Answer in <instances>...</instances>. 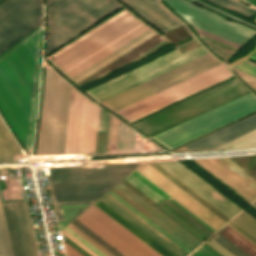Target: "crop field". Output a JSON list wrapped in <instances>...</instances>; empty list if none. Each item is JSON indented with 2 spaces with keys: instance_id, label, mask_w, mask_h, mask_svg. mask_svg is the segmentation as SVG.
Wrapping results in <instances>:
<instances>
[{
  "instance_id": "obj_1",
  "label": "crop field",
  "mask_w": 256,
  "mask_h": 256,
  "mask_svg": "<svg viewBox=\"0 0 256 256\" xmlns=\"http://www.w3.org/2000/svg\"><path fill=\"white\" fill-rule=\"evenodd\" d=\"M124 9L127 10L126 8ZM125 10H121L122 12H118L119 14L116 13L117 15H113L114 17H110L111 19L108 18V21L105 20V23L102 22L103 24H99L100 26L97 25V28L94 27V30L91 29L92 31H88L89 33H85L86 35L83 34L84 36H80L81 38H77L78 40L74 41L73 43H69L70 45L66 46L63 50L52 56L50 59L60 70L68 75L110 47L114 46L124 38L128 37L138 29L145 26V22L127 10L129 13L144 23L142 24ZM147 26L150 27L149 25ZM148 27L145 26L138 30L128 38L124 39L114 47L110 48L68 76L71 77L79 85H81L89 80H92L100 75H103L137 59L141 55L145 54L166 40V42L141 56L137 60L172 43L165 35L162 37L166 40L160 37V34V36L157 35L155 30L154 31L156 33L153 32L151 27L150 28L152 30H150Z\"/></svg>"
},
{
  "instance_id": "obj_2",
  "label": "crop field",
  "mask_w": 256,
  "mask_h": 256,
  "mask_svg": "<svg viewBox=\"0 0 256 256\" xmlns=\"http://www.w3.org/2000/svg\"><path fill=\"white\" fill-rule=\"evenodd\" d=\"M43 24L0 57V109L31 152Z\"/></svg>"
},
{
  "instance_id": "obj_3",
  "label": "crop field",
  "mask_w": 256,
  "mask_h": 256,
  "mask_svg": "<svg viewBox=\"0 0 256 256\" xmlns=\"http://www.w3.org/2000/svg\"><path fill=\"white\" fill-rule=\"evenodd\" d=\"M140 164L105 165L92 169L48 168L59 229H63Z\"/></svg>"
},
{
  "instance_id": "obj_4",
  "label": "crop field",
  "mask_w": 256,
  "mask_h": 256,
  "mask_svg": "<svg viewBox=\"0 0 256 256\" xmlns=\"http://www.w3.org/2000/svg\"><path fill=\"white\" fill-rule=\"evenodd\" d=\"M121 6L116 0H47L46 54Z\"/></svg>"
},
{
  "instance_id": "obj_5",
  "label": "crop field",
  "mask_w": 256,
  "mask_h": 256,
  "mask_svg": "<svg viewBox=\"0 0 256 256\" xmlns=\"http://www.w3.org/2000/svg\"><path fill=\"white\" fill-rule=\"evenodd\" d=\"M70 90L71 84L46 65L36 156L64 155Z\"/></svg>"
},
{
  "instance_id": "obj_6",
  "label": "crop field",
  "mask_w": 256,
  "mask_h": 256,
  "mask_svg": "<svg viewBox=\"0 0 256 256\" xmlns=\"http://www.w3.org/2000/svg\"><path fill=\"white\" fill-rule=\"evenodd\" d=\"M255 111L256 97L249 93L152 138L171 150Z\"/></svg>"
},
{
  "instance_id": "obj_7",
  "label": "crop field",
  "mask_w": 256,
  "mask_h": 256,
  "mask_svg": "<svg viewBox=\"0 0 256 256\" xmlns=\"http://www.w3.org/2000/svg\"><path fill=\"white\" fill-rule=\"evenodd\" d=\"M246 92L248 90L234 78L134 125L150 136Z\"/></svg>"
},
{
  "instance_id": "obj_8",
  "label": "crop field",
  "mask_w": 256,
  "mask_h": 256,
  "mask_svg": "<svg viewBox=\"0 0 256 256\" xmlns=\"http://www.w3.org/2000/svg\"><path fill=\"white\" fill-rule=\"evenodd\" d=\"M234 76L223 64L116 112L132 123Z\"/></svg>"
},
{
  "instance_id": "obj_9",
  "label": "crop field",
  "mask_w": 256,
  "mask_h": 256,
  "mask_svg": "<svg viewBox=\"0 0 256 256\" xmlns=\"http://www.w3.org/2000/svg\"><path fill=\"white\" fill-rule=\"evenodd\" d=\"M206 53H208V51L202 46L183 54H181L176 48L143 66L102 83L85 92L96 101L100 102Z\"/></svg>"
},
{
  "instance_id": "obj_10",
  "label": "crop field",
  "mask_w": 256,
  "mask_h": 256,
  "mask_svg": "<svg viewBox=\"0 0 256 256\" xmlns=\"http://www.w3.org/2000/svg\"><path fill=\"white\" fill-rule=\"evenodd\" d=\"M219 64H221V62L208 53L100 103L116 112Z\"/></svg>"
},
{
  "instance_id": "obj_11",
  "label": "crop field",
  "mask_w": 256,
  "mask_h": 256,
  "mask_svg": "<svg viewBox=\"0 0 256 256\" xmlns=\"http://www.w3.org/2000/svg\"><path fill=\"white\" fill-rule=\"evenodd\" d=\"M175 11H177L191 26L230 41L243 45L247 42L256 31L251 30L239 23L230 22L222 19L220 16L188 3L184 0H165ZM195 29V31L205 37L227 44L229 46L239 48L241 45Z\"/></svg>"
},
{
  "instance_id": "obj_12",
  "label": "crop field",
  "mask_w": 256,
  "mask_h": 256,
  "mask_svg": "<svg viewBox=\"0 0 256 256\" xmlns=\"http://www.w3.org/2000/svg\"><path fill=\"white\" fill-rule=\"evenodd\" d=\"M99 106L72 87L65 154L95 151Z\"/></svg>"
},
{
  "instance_id": "obj_13",
  "label": "crop field",
  "mask_w": 256,
  "mask_h": 256,
  "mask_svg": "<svg viewBox=\"0 0 256 256\" xmlns=\"http://www.w3.org/2000/svg\"><path fill=\"white\" fill-rule=\"evenodd\" d=\"M43 0H6L0 5V55L42 24Z\"/></svg>"
},
{
  "instance_id": "obj_14",
  "label": "crop field",
  "mask_w": 256,
  "mask_h": 256,
  "mask_svg": "<svg viewBox=\"0 0 256 256\" xmlns=\"http://www.w3.org/2000/svg\"><path fill=\"white\" fill-rule=\"evenodd\" d=\"M77 219L125 256H161L94 205Z\"/></svg>"
},
{
  "instance_id": "obj_15",
  "label": "crop field",
  "mask_w": 256,
  "mask_h": 256,
  "mask_svg": "<svg viewBox=\"0 0 256 256\" xmlns=\"http://www.w3.org/2000/svg\"><path fill=\"white\" fill-rule=\"evenodd\" d=\"M3 208L14 256H38L26 201Z\"/></svg>"
},
{
  "instance_id": "obj_16",
  "label": "crop field",
  "mask_w": 256,
  "mask_h": 256,
  "mask_svg": "<svg viewBox=\"0 0 256 256\" xmlns=\"http://www.w3.org/2000/svg\"><path fill=\"white\" fill-rule=\"evenodd\" d=\"M193 160L247 201L256 198V179L225 156Z\"/></svg>"
},
{
  "instance_id": "obj_17",
  "label": "crop field",
  "mask_w": 256,
  "mask_h": 256,
  "mask_svg": "<svg viewBox=\"0 0 256 256\" xmlns=\"http://www.w3.org/2000/svg\"><path fill=\"white\" fill-rule=\"evenodd\" d=\"M158 164L230 219L242 210L179 161Z\"/></svg>"
},
{
  "instance_id": "obj_18",
  "label": "crop field",
  "mask_w": 256,
  "mask_h": 256,
  "mask_svg": "<svg viewBox=\"0 0 256 256\" xmlns=\"http://www.w3.org/2000/svg\"><path fill=\"white\" fill-rule=\"evenodd\" d=\"M125 180H127L137 189L142 191L156 203L162 205L164 208H166L168 211H170L172 214H174L176 217H178L180 220H182L184 223H186L188 226H190L204 238L207 239L214 232H216L136 171L132 172ZM211 231L213 232L212 234L210 233Z\"/></svg>"
},
{
  "instance_id": "obj_19",
  "label": "crop field",
  "mask_w": 256,
  "mask_h": 256,
  "mask_svg": "<svg viewBox=\"0 0 256 256\" xmlns=\"http://www.w3.org/2000/svg\"><path fill=\"white\" fill-rule=\"evenodd\" d=\"M136 171L216 231L224 224V222H222L220 219H218L216 216L206 210L203 206H201L199 203L189 197L186 193H184L182 190H180L178 187H176L174 184H172L170 181H168L165 177H163L146 163L140 166Z\"/></svg>"
},
{
  "instance_id": "obj_20",
  "label": "crop field",
  "mask_w": 256,
  "mask_h": 256,
  "mask_svg": "<svg viewBox=\"0 0 256 256\" xmlns=\"http://www.w3.org/2000/svg\"><path fill=\"white\" fill-rule=\"evenodd\" d=\"M256 129V114L185 145L187 149L219 148Z\"/></svg>"
},
{
  "instance_id": "obj_21",
  "label": "crop field",
  "mask_w": 256,
  "mask_h": 256,
  "mask_svg": "<svg viewBox=\"0 0 256 256\" xmlns=\"http://www.w3.org/2000/svg\"><path fill=\"white\" fill-rule=\"evenodd\" d=\"M162 31L166 32L182 23L166 10L159 0H122Z\"/></svg>"
},
{
  "instance_id": "obj_22",
  "label": "crop field",
  "mask_w": 256,
  "mask_h": 256,
  "mask_svg": "<svg viewBox=\"0 0 256 256\" xmlns=\"http://www.w3.org/2000/svg\"><path fill=\"white\" fill-rule=\"evenodd\" d=\"M100 200H102L104 203H106L116 212L121 214L123 217H125L127 220H129L131 223H133L135 226H137L139 229H141L151 238H153L156 242H158L160 245L166 248L173 255L186 256L185 254H183L181 251H179L177 248H175L173 245H171L169 242H167L165 239H163L161 236H159L157 233H155L153 230H151L149 227H147L145 224H143L141 221H139L137 218H135L133 215H131L129 212H127L125 209H123L121 206H119L117 203H115L106 195Z\"/></svg>"
},
{
  "instance_id": "obj_23",
  "label": "crop field",
  "mask_w": 256,
  "mask_h": 256,
  "mask_svg": "<svg viewBox=\"0 0 256 256\" xmlns=\"http://www.w3.org/2000/svg\"><path fill=\"white\" fill-rule=\"evenodd\" d=\"M94 205L101 209L103 212H105L107 215H109L111 218H113L115 221H117L119 224H121L123 227H125L127 230H129L131 233H133L135 236H137L139 239H141L143 242H145L147 245H149L151 248H153L155 251H157L159 254H161L162 256H173L166 249H164L153 239H151L149 236H147L145 233H143L141 230H139L125 218L120 216L118 213H116L102 201L99 200Z\"/></svg>"
},
{
  "instance_id": "obj_24",
  "label": "crop field",
  "mask_w": 256,
  "mask_h": 256,
  "mask_svg": "<svg viewBox=\"0 0 256 256\" xmlns=\"http://www.w3.org/2000/svg\"><path fill=\"white\" fill-rule=\"evenodd\" d=\"M13 155H23L0 119V161H14Z\"/></svg>"
},
{
  "instance_id": "obj_25",
  "label": "crop field",
  "mask_w": 256,
  "mask_h": 256,
  "mask_svg": "<svg viewBox=\"0 0 256 256\" xmlns=\"http://www.w3.org/2000/svg\"><path fill=\"white\" fill-rule=\"evenodd\" d=\"M147 164H149L151 167H153L155 170H157L159 173H161L163 176H165L167 179H169L171 182H173L175 185H177L179 188H181L183 191H185L187 194H189L191 197H193L195 200H197L219 218H221L223 221L227 222L230 220L213 206H211L209 203H207L205 200H203L201 197H199L197 194H195L193 191H191L189 188H187L185 185H183L181 182H179L177 179H175L173 176H171L169 173H167L165 170H163L161 167H159L157 164H155L154 162H150Z\"/></svg>"
},
{
  "instance_id": "obj_26",
  "label": "crop field",
  "mask_w": 256,
  "mask_h": 256,
  "mask_svg": "<svg viewBox=\"0 0 256 256\" xmlns=\"http://www.w3.org/2000/svg\"><path fill=\"white\" fill-rule=\"evenodd\" d=\"M224 227L225 228H222L218 232L225 236L227 239H229L231 242H233L236 246H238L248 255L256 256L255 245H253L250 241H248L246 238H244L242 235H240L227 224Z\"/></svg>"
},
{
  "instance_id": "obj_27",
  "label": "crop field",
  "mask_w": 256,
  "mask_h": 256,
  "mask_svg": "<svg viewBox=\"0 0 256 256\" xmlns=\"http://www.w3.org/2000/svg\"><path fill=\"white\" fill-rule=\"evenodd\" d=\"M0 256H13L0 199Z\"/></svg>"
},
{
  "instance_id": "obj_28",
  "label": "crop field",
  "mask_w": 256,
  "mask_h": 256,
  "mask_svg": "<svg viewBox=\"0 0 256 256\" xmlns=\"http://www.w3.org/2000/svg\"><path fill=\"white\" fill-rule=\"evenodd\" d=\"M108 194H110L112 197H114L116 200H118L120 203H122L124 206H126L128 209H130L132 212H134L136 215H138L140 218H142L144 221H146L148 224H150L152 227H154L156 230H158L160 233H162L164 236H166L168 239H170L180 248H182L184 251H186L187 253L191 251L187 247H185L183 244H181L179 241H177L175 238H173L171 235H169L167 232H165L156 224H154L152 221H150L148 218H146L144 215H142L140 212H138L129 204H127L125 201H123L121 198H119L117 195H115L113 192L110 191Z\"/></svg>"
},
{
  "instance_id": "obj_29",
  "label": "crop field",
  "mask_w": 256,
  "mask_h": 256,
  "mask_svg": "<svg viewBox=\"0 0 256 256\" xmlns=\"http://www.w3.org/2000/svg\"><path fill=\"white\" fill-rule=\"evenodd\" d=\"M72 224L79 228L81 231H83L85 234H87L89 237H91L93 240H95L97 243H99L101 246H103L105 249H107L109 252H111L113 255L124 256L122 253L112 247L109 243H107L105 240H103L101 237H99L77 219Z\"/></svg>"
},
{
  "instance_id": "obj_30",
  "label": "crop field",
  "mask_w": 256,
  "mask_h": 256,
  "mask_svg": "<svg viewBox=\"0 0 256 256\" xmlns=\"http://www.w3.org/2000/svg\"><path fill=\"white\" fill-rule=\"evenodd\" d=\"M208 1L215 3L221 7L232 9L247 18L253 15L254 13H256V10L248 9L242 6L241 4H239L235 0H208Z\"/></svg>"
},
{
  "instance_id": "obj_31",
  "label": "crop field",
  "mask_w": 256,
  "mask_h": 256,
  "mask_svg": "<svg viewBox=\"0 0 256 256\" xmlns=\"http://www.w3.org/2000/svg\"><path fill=\"white\" fill-rule=\"evenodd\" d=\"M232 220H234L236 223H238L240 226H242L256 237V219L249 215L247 212L243 210Z\"/></svg>"
},
{
  "instance_id": "obj_32",
  "label": "crop field",
  "mask_w": 256,
  "mask_h": 256,
  "mask_svg": "<svg viewBox=\"0 0 256 256\" xmlns=\"http://www.w3.org/2000/svg\"><path fill=\"white\" fill-rule=\"evenodd\" d=\"M210 238H212L214 241H216L218 244H220L222 247H224L234 256H248L246 253H244L242 250H240L238 247H236L233 243H231L229 240H227L218 232L215 233Z\"/></svg>"
},
{
  "instance_id": "obj_33",
  "label": "crop field",
  "mask_w": 256,
  "mask_h": 256,
  "mask_svg": "<svg viewBox=\"0 0 256 256\" xmlns=\"http://www.w3.org/2000/svg\"><path fill=\"white\" fill-rule=\"evenodd\" d=\"M246 59H248V58H246V57L240 58V59L236 60L235 62H233L231 64V66H233V67H235V68H237L239 70H242V71H244V72H246L248 74H251V75L256 77V68L253 67V66H250V65H248V64H246L244 62H242V61H244Z\"/></svg>"
},
{
  "instance_id": "obj_34",
  "label": "crop field",
  "mask_w": 256,
  "mask_h": 256,
  "mask_svg": "<svg viewBox=\"0 0 256 256\" xmlns=\"http://www.w3.org/2000/svg\"><path fill=\"white\" fill-rule=\"evenodd\" d=\"M68 227L75 231L77 234H79L81 237H83L85 240H87L89 243H91L93 246H95L97 249H99L101 252H103L105 255L113 256L111 253H109L107 250H105L103 247H101L99 244H97L95 241H93L91 238H89L87 235H85L72 224L69 225Z\"/></svg>"
},
{
  "instance_id": "obj_35",
  "label": "crop field",
  "mask_w": 256,
  "mask_h": 256,
  "mask_svg": "<svg viewBox=\"0 0 256 256\" xmlns=\"http://www.w3.org/2000/svg\"><path fill=\"white\" fill-rule=\"evenodd\" d=\"M232 228H234L236 231H238L240 234H242L244 237H246L248 240H250L253 244L256 245V238L253 237L251 234H249L247 231H245L243 228H241L239 225H237L232 220L227 223Z\"/></svg>"
},
{
  "instance_id": "obj_36",
  "label": "crop field",
  "mask_w": 256,
  "mask_h": 256,
  "mask_svg": "<svg viewBox=\"0 0 256 256\" xmlns=\"http://www.w3.org/2000/svg\"><path fill=\"white\" fill-rule=\"evenodd\" d=\"M68 233H70L72 236H74L76 239H78L80 242H82L84 245H86L88 248H90L92 251H94L99 256H105L103 253H101L99 250H97L95 247H93L91 244H89L87 241H85L83 238H81L79 235H77L75 232H73L68 227L65 228Z\"/></svg>"
},
{
  "instance_id": "obj_37",
  "label": "crop field",
  "mask_w": 256,
  "mask_h": 256,
  "mask_svg": "<svg viewBox=\"0 0 256 256\" xmlns=\"http://www.w3.org/2000/svg\"><path fill=\"white\" fill-rule=\"evenodd\" d=\"M206 244H208L210 247H212L214 250H216L218 253H220L222 256H233L228 251H226L224 248H222L220 245H218L216 242H214L212 239H208L205 241Z\"/></svg>"
},
{
  "instance_id": "obj_38",
  "label": "crop field",
  "mask_w": 256,
  "mask_h": 256,
  "mask_svg": "<svg viewBox=\"0 0 256 256\" xmlns=\"http://www.w3.org/2000/svg\"><path fill=\"white\" fill-rule=\"evenodd\" d=\"M189 256H216V255H214L212 252H210L208 249H206L204 246L201 245Z\"/></svg>"
},
{
  "instance_id": "obj_39",
  "label": "crop field",
  "mask_w": 256,
  "mask_h": 256,
  "mask_svg": "<svg viewBox=\"0 0 256 256\" xmlns=\"http://www.w3.org/2000/svg\"><path fill=\"white\" fill-rule=\"evenodd\" d=\"M107 122H108V112H106L104 109L101 108L98 128H106Z\"/></svg>"
},
{
  "instance_id": "obj_40",
  "label": "crop field",
  "mask_w": 256,
  "mask_h": 256,
  "mask_svg": "<svg viewBox=\"0 0 256 256\" xmlns=\"http://www.w3.org/2000/svg\"><path fill=\"white\" fill-rule=\"evenodd\" d=\"M66 256H83L78 251H76L74 248H72L70 245H68L65 241H63Z\"/></svg>"
},
{
  "instance_id": "obj_41",
  "label": "crop field",
  "mask_w": 256,
  "mask_h": 256,
  "mask_svg": "<svg viewBox=\"0 0 256 256\" xmlns=\"http://www.w3.org/2000/svg\"><path fill=\"white\" fill-rule=\"evenodd\" d=\"M62 234L66 235L68 238H70L72 241H74L76 244H78L80 247H82L84 250H86L88 253H90L92 256H96L94 253H92L90 250H88L84 245H82L80 242H78L76 239H74L71 235H69L64 230L62 231Z\"/></svg>"
},
{
  "instance_id": "obj_42",
  "label": "crop field",
  "mask_w": 256,
  "mask_h": 256,
  "mask_svg": "<svg viewBox=\"0 0 256 256\" xmlns=\"http://www.w3.org/2000/svg\"><path fill=\"white\" fill-rule=\"evenodd\" d=\"M65 238V241H66V237L64 236ZM67 242L72 245L74 248H76L79 252H81L83 255L85 256H90L88 253H86L84 250H82L80 247H78L76 244H74L72 241H70L68 238H67Z\"/></svg>"
},
{
  "instance_id": "obj_43",
  "label": "crop field",
  "mask_w": 256,
  "mask_h": 256,
  "mask_svg": "<svg viewBox=\"0 0 256 256\" xmlns=\"http://www.w3.org/2000/svg\"><path fill=\"white\" fill-rule=\"evenodd\" d=\"M246 172H248L250 175H252L254 178H256V164L251 167L249 170H247Z\"/></svg>"
},
{
  "instance_id": "obj_44",
  "label": "crop field",
  "mask_w": 256,
  "mask_h": 256,
  "mask_svg": "<svg viewBox=\"0 0 256 256\" xmlns=\"http://www.w3.org/2000/svg\"><path fill=\"white\" fill-rule=\"evenodd\" d=\"M246 57L256 61V48L253 51H251Z\"/></svg>"
},
{
  "instance_id": "obj_45",
  "label": "crop field",
  "mask_w": 256,
  "mask_h": 256,
  "mask_svg": "<svg viewBox=\"0 0 256 256\" xmlns=\"http://www.w3.org/2000/svg\"><path fill=\"white\" fill-rule=\"evenodd\" d=\"M204 245L206 248H208L210 251H212L214 254H216L217 256H221L220 254H218L216 251H214L212 248H210L208 245H206L205 243L202 244Z\"/></svg>"
},
{
  "instance_id": "obj_46",
  "label": "crop field",
  "mask_w": 256,
  "mask_h": 256,
  "mask_svg": "<svg viewBox=\"0 0 256 256\" xmlns=\"http://www.w3.org/2000/svg\"><path fill=\"white\" fill-rule=\"evenodd\" d=\"M252 205L256 207V201H254V202L252 203Z\"/></svg>"
},
{
  "instance_id": "obj_47",
  "label": "crop field",
  "mask_w": 256,
  "mask_h": 256,
  "mask_svg": "<svg viewBox=\"0 0 256 256\" xmlns=\"http://www.w3.org/2000/svg\"><path fill=\"white\" fill-rule=\"evenodd\" d=\"M255 22H256V20H255Z\"/></svg>"
}]
</instances>
